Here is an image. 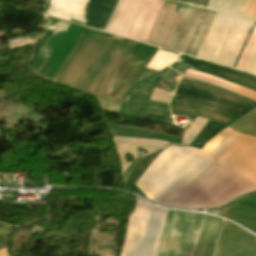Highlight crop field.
<instances>
[{"label": "crop field", "instance_id": "obj_1", "mask_svg": "<svg viewBox=\"0 0 256 256\" xmlns=\"http://www.w3.org/2000/svg\"><path fill=\"white\" fill-rule=\"evenodd\" d=\"M256 137V110L229 126ZM201 150L169 146L148 166L137 186L147 198L165 206L239 134L230 128ZM240 134L166 206L189 209L213 207L256 166V138ZM256 190V167L215 206ZM214 206V207H215Z\"/></svg>", "mask_w": 256, "mask_h": 256}, {"label": "crop field", "instance_id": "obj_2", "mask_svg": "<svg viewBox=\"0 0 256 256\" xmlns=\"http://www.w3.org/2000/svg\"><path fill=\"white\" fill-rule=\"evenodd\" d=\"M223 220L168 211L155 256H212Z\"/></svg>", "mask_w": 256, "mask_h": 256}, {"label": "crop field", "instance_id": "obj_3", "mask_svg": "<svg viewBox=\"0 0 256 256\" xmlns=\"http://www.w3.org/2000/svg\"><path fill=\"white\" fill-rule=\"evenodd\" d=\"M254 21L218 12L196 57L232 67Z\"/></svg>", "mask_w": 256, "mask_h": 256}, {"label": "crop field", "instance_id": "obj_4", "mask_svg": "<svg viewBox=\"0 0 256 256\" xmlns=\"http://www.w3.org/2000/svg\"><path fill=\"white\" fill-rule=\"evenodd\" d=\"M167 211L137 199L120 256H154Z\"/></svg>", "mask_w": 256, "mask_h": 256}, {"label": "crop field", "instance_id": "obj_5", "mask_svg": "<svg viewBox=\"0 0 256 256\" xmlns=\"http://www.w3.org/2000/svg\"><path fill=\"white\" fill-rule=\"evenodd\" d=\"M157 49L136 43L118 71L98 98L101 108L118 112L129 87Z\"/></svg>", "mask_w": 256, "mask_h": 256}, {"label": "crop field", "instance_id": "obj_6", "mask_svg": "<svg viewBox=\"0 0 256 256\" xmlns=\"http://www.w3.org/2000/svg\"><path fill=\"white\" fill-rule=\"evenodd\" d=\"M92 0H48L45 14L81 22ZM118 0H93L80 24L104 30ZM70 21V20H69ZM74 22V21H73ZM78 23V22H76Z\"/></svg>", "mask_w": 256, "mask_h": 256}, {"label": "crop field", "instance_id": "obj_7", "mask_svg": "<svg viewBox=\"0 0 256 256\" xmlns=\"http://www.w3.org/2000/svg\"><path fill=\"white\" fill-rule=\"evenodd\" d=\"M216 13L189 5L167 49L195 57Z\"/></svg>", "mask_w": 256, "mask_h": 256}, {"label": "crop field", "instance_id": "obj_8", "mask_svg": "<svg viewBox=\"0 0 256 256\" xmlns=\"http://www.w3.org/2000/svg\"><path fill=\"white\" fill-rule=\"evenodd\" d=\"M176 89H177V92L173 98H183V99L203 102V103L224 109L226 111H229L239 116L247 113V111L251 109L236 101H233V100H230L206 91H202L196 88L178 84ZM181 91H183L184 93H181Z\"/></svg>", "mask_w": 256, "mask_h": 256}, {"label": "crop field", "instance_id": "obj_9", "mask_svg": "<svg viewBox=\"0 0 256 256\" xmlns=\"http://www.w3.org/2000/svg\"><path fill=\"white\" fill-rule=\"evenodd\" d=\"M170 107L172 113L197 115L225 126L229 125L238 118V116L218 108L188 100L172 99Z\"/></svg>", "mask_w": 256, "mask_h": 256}, {"label": "crop field", "instance_id": "obj_10", "mask_svg": "<svg viewBox=\"0 0 256 256\" xmlns=\"http://www.w3.org/2000/svg\"><path fill=\"white\" fill-rule=\"evenodd\" d=\"M177 61L192 64L190 67L191 69L206 72L233 83L238 82L236 84L245 86L249 89L256 91V79L246 74L239 73L236 71H232L226 68L204 63V62L197 61V60L190 59L183 56H181Z\"/></svg>", "mask_w": 256, "mask_h": 256}, {"label": "crop field", "instance_id": "obj_11", "mask_svg": "<svg viewBox=\"0 0 256 256\" xmlns=\"http://www.w3.org/2000/svg\"><path fill=\"white\" fill-rule=\"evenodd\" d=\"M219 215L229 218L256 232V208L233 204L222 209Z\"/></svg>", "mask_w": 256, "mask_h": 256}, {"label": "crop field", "instance_id": "obj_12", "mask_svg": "<svg viewBox=\"0 0 256 256\" xmlns=\"http://www.w3.org/2000/svg\"><path fill=\"white\" fill-rule=\"evenodd\" d=\"M235 68L256 75V26Z\"/></svg>", "mask_w": 256, "mask_h": 256}, {"label": "crop field", "instance_id": "obj_13", "mask_svg": "<svg viewBox=\"0 0 256 256\" xmlns=\"http://www.w3.org/2000/svg\"><path fill=\"white\" fill-rule=\"evenodd\" d=\"M252 0H210L207 8L245 16Z\"/></svg>", "mask_w": 256, "mask_h": 256}, {"label": "crop field", "instance_id": "obj_14", "mask_svg": "<svg viewBox=\"0 0 256 256\" xmlns=\"http://www.w3.org/2000/svg\"><path fill=\"white\" fill-rule=\"evenodd\" d=\"M115 144L119 154L120 163L127 162L125 159V153H131L133 154L134 160L137 159V146L143 147V149L149 152L147 154L156 152L161 149L153 146L139 145V144H124V143H115ZM147 154L140 155V157Z\"/></svg>", "mask_w": 256, "mask_h": 256}, {"label": "crop field", "instance_id": "obj_15", "mask_svg": "<svg viewBox=\"0 0 256 256\" xmlns=\"http://www.w3.org/2000/svg\"><path fill=\"white\" fill-rule=\"evenodd\" d=\"M178 56V54L158 50L154 58L146 66L147 68L161 71L166 68Z\"/></svg>", "mask_w": 256, "mask_h": 256}, {"label": "crop field", "instance_id": "obj_16", "mask_svg": "<svg viewBox=\"0 0 256 256\" xmlns=\"http://www.w3.org/2000/svg\"><path fill=\"white\" fill-rule=\"evenodd\" d=\"M58 23H59V20H55V19H51V18L49 20H46V33L43 36V38L41 39V41L38 44V46L36 47V49L34 50L30 59L26 63L25 68L29 69V67L35 60L36 56L38 55V53L40 52V50L42 49V47L44 46V44L46 43V41L48 40V38L50 37V35L52 34L53 30L55 29V27L57 26Z\"/></svg>", "mask_w": 256, "mask_h": 256}, {"label": "crop field", "instance_id": "obj_17", "mask_svg": "<svg viewBox=\"0 0 256 256\" xmlns=\"http://www.w3.org/2000/svg\"><path fill=\"white\" fill-rule=\"evenodd\" d=\"M197 117V116H196ZM207 122V119L197 117L195 121H193L189 128L187 129L182 144H190L191 141L196 137L199 131L202 129L204 124Z\"/></svg>", "mask_w": 256, "mask_h": 256}, {"label": "crop field", "instance_id": "obj_18", "mask_svg": "<svg viewBox=\"0 0 256 256\" xmlns=\"http://www.w3.org/2000/svg\"><path fill=\"white\" fill-rule=\"evenodd\" d=\"M89 32L90 30L86 29L84 34L82 33L83 34L82 37L80 36L81 37L80 40L78 39L79 41L77 42V44L75 45V47L73 48V50L71 51V53L69 54L65 62L63 63V65L61 66V68L58 70V72L52 79V82L56 83V81L58 80V78L60 77V75L62 74V72L64 71V69L66 68V66L68 65V63L70 62V60L72 59V57L74 56V54L76 53V51L78 50V48L80 47V45L82 44V42L84 41V39L86 38Z\"/></svg>", "mask_w": 256, "mask_h": 256}, {"label": "crop field", "instance_id": "obj_19", "mask_svg": "<svg viewBox=\"0 0 256 256\" xmlns=\"http://www.w3.org/2000/svg\"><path fill=\"white\" fill-rule=\"evenodd\" d=\"M115 142H124V143H139V144H148L154 145L161 148H164L167 142L159 140H147V139H135V138H122V137H113ZM167 146V145H166Z\"/></svg>", "mask_w": 256, "mask_h": 256}, {"label": "crop field", "instance_id": "obj_20", "mask_svg": "<svg viewBox=\"0 0 256 256\" xmlns=\"http://www.w3.org/2000/svg\"><path fill=\"white\" fill-rule=\"evenodd\" d=\"M171 95L172 94L164 92L163 89H159V88L155 87L150 100L151 101H157V102H163V103L168 104Z\"/></svg>", "mask_w": 256, "mask_h": 256}, {"label": "crop field", "instance_id": "obj_21", "mask_svg": "<svg viewBox=\"0 0 256 256\" xmlns=\"http://www.w3.org/2000/svg\"><path fill=\"white\" fill-rule=\"evenodd\" d=\"M187 72H190V73H193V74H196V75H199V76L208 78V79H212V80L219 81V82H221V83L227 84V85L232 86V87H235V88H237V89L245 90V91H247V92H249V93H251V94H253V95L256 96V92H254V91H252V90H249V89H247V88H245V87L232 84V83H230V82H227V81L218 79V78L213 77V76H210V75H206V74H202V73H199V72H195V71H193V70L187 69Z\"/></svg>", "mask_w": 256, "mask_h": 256}, {"label": "crop field", "instance_id": "obj_22", "mask_svg": "<svg viewBox=\"0 0 256 256\" xmlns=\"http://www.w3.org/2000/svg\"><path fill=\"white\" fill-rule=\"evenodd\" d=\"M180 83L186 84V85H190V86H194V87H197V88H200V89H203V90H206V91H209V92H212V93H215V94H218V95H221V96H224V97L233 99V100H236V101H238V102H240V103H243V104H245V105H247V106H249V107H251V108L255 107V105H252V104H250V103L241 101V100H239V99L233 98V97H231V96L225 95V94H223V93L217 92V91H215V90H212V89H209V88L200 86V85H196V84H192V83H187V82H183V81H181Z\"/></svg>", "mask_w": 256, "mask_h": 256}, {"label": "crop field", "instance_id": "obj_23", "mask_svg": "<svg viewBox=\"0 0 256 256\" xmlns=\"http://www.w3.org/2000/svg\"><path fill=\"white\" fill-rule=\"evenodd\" d=\"M234 203L256 206V194L240 198Z\"/></svg>", "mask_w": 256, "mask_h": 256}, {"label": "crop field", "instance_id": "obj_24", "mask_svg": "<svg viewBox=\"0 0 256 256\" xmlns=\"http://www.w3.org/2000/svg\"><path fill=\"white\" fill-rule=\"evenodd\" d=\"M246 16L256 18V0H253Z\"/></svg>", "mask_w": 256, "mask_h": 256}, {"label": "crop field", "instance_id": "obj_25", "mask_svg": "<svg viewBox=\"0 0 256 256\" xmlns=\"http://www.w3.org/2000/svg\"><path fill=\"white\" fill-rule=\"evenodd\" d=\"M10 227H12V226H10V225H2V226H0V234L5 232L6 230H8Z\"/></svg>", "mask_w": 256, "mask_h": 256}, {"label": "crop field", "instance_id": "obj_26", "mask_svg": "<svg viewBox=\"0 0 256 256\" xmlns=\"http://www.w3.org/2000/svg\"><path fill=\"white\" fill-rule=\"evenodd\" d=\"M0 256H9L7 248H4V249L0 250Z\"/></svg>", "mask_w": 256, "mask_h": 256}, {"label": "crop field", "instance_id": "obj_27", "mask_svg": "<svg viewBox=\"0 0 256 256\" xmlns=\"http://www.w3.org/2000/svg\"><path fill=\"white\" fill-rule=\"evenodd\" d=\"M131 163H126L121 165L122 174L125 172V170L130 166Z\"/></svg>", "mask_w": 256, "mask_h": 256}]
</instances>
